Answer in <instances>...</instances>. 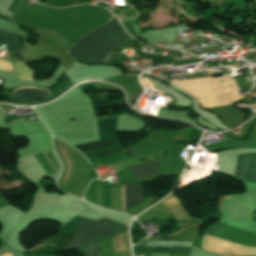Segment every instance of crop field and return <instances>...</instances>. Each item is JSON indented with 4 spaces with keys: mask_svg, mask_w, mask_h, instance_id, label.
Returning a JSON list of instances; mask_svg holds the SVG:
<instances>
[{
    "mask_svg": "<svg viewBox=\"0 0 256 256\" xmlns=\"http://www.w3.org/2000/svg\"><path fill=\"white\" fill-rule=\"evenodd\" d=\"M127 38L118 22L113 19L83 36L67 54L73 58L89 62H101Z\"/></svg>",
    "mask_w": 256,
    "mask_h": 256,
    "instance_id": "obj_1",
    "label": "crop field"
},
{
    "mask_svg": "<svg viewBox=\"0 0 256 256\" xmlns=\"http://www.w3.org/2000/svg\"><path fill=\"white\" fill-rule=\"evenodd\" d=\"M115 125H116V118L98 119L100 140L114 138ZM114 144H115L114 141L110 139V140H103V141L76 145L75 147L80 151H84V150H89V149H94V148H99V147H104V146H109ZM119 151L120 150L118 149V147L114 145V146L84 151V153L87 155L90 161H92L101 157H105V156L117 153Z\"/></svg>",
    "mask_w": 256,
    "mask_h": 256,
    "instance_id": "obj_2",
    "label": "crop field"
},
{
    "mask_svg": "<svg viewBox=\"0 0 256 256\" xmlns=\"http://www.w3.org/2000/svg\"><path fill=\"white\" fill-rule=\"evenodd\" d=\"M80 219H81L80 217L75 216L70 221H68L66 224L61 226L58 234L55 237L50 238L48 240L53 242L58 247L65 249L66 246L68 245ZM92 222L93 221H91V220H87V219H83V218L81 219L66 250L76 249L79 246L83 245V243L85 242V240L89 234Z\"/></svg>",
    "mask_w": 256,
    "mask_h": 256,
    "instance_id": "obj_3",
    "label": "crop field"
},
{
    "mask_svg": "<svg viewBox=\"0 0 256 256\" xmlns=\"http://www.w3.org/2000/svg\"><path fill=\"white\" fill-rule=\"evenodd\" d=\"M128 227L117 223L115 221L109 220L107 218L98 220L94 223L93 230L86 242V245L94 242L99 241L110 236L122 233L126 231ZM85 245V246H86Z\"/></svg>",
    "mask_w": 256,
    "mask_h": 256,
    "instance_id": "obj_4",
    "label": "crop field"
},
{
    "mask_svg": "<svg viewBox=\"0 0 256 256\" xmlns=\"http://www.w3.org/2000/svg\"><path fill=\"white\" fill-rule=\"evenodd\" d=\"M235 166L236 177L254 182L256 173V153L236 155Z\"/></svg>",
    "mask_w": 256,
    "mask_h": 256,
    "instance_id": "obj_5",
    "label": "crop field"
},
{
    "mask_svg": "<svg viewBox=\"0 0 256 256\" xmlns=\"http://www.w3.org/2000/svg\"><path fill=\"white\" fill-rule=\"evenodd\" d=\"M146 246H190V243L147 242ZM189 247H136V253H187Z\"/></svg>",
    "mask_w": 256,
    "mask_h": 256,
    "instance_id": "obj_6",
    "label": "crop field"
},
{
    "mask_svg": "<svg viewBox=\"0 0 256 256\" xmlns=\"http://www.w3.org/2000/svg\"><path fill=\"white\" fill-rule=\"evenodd\" d=\"M0 44H7L8 49H13L18 60L29 59L23 43V37L0 30Z\"/></svg>",
    "mask_w": 256,
    "mask_h": 256,
    "instance_id": "obj_7",
    "label": "crop field"
},
{
    "mask_svg": "<svg viewBox=\"0 0 256 256\" xmlns=\"http://www.w3.org/2000/svg\"><path fill=\"white\" fill-rule=\"evenodd\" d=\"M145 201L140 183L125 184V211ZM123 211H124V185H123Z\"/></svg>",
    "mask_w": 256,
    "mask_h": 256,
    "instance_id": "obj_8",
    "label": "crop field"
},
{
    "mask_svg": "<svg viewBox=\"0 0 256 256\" xmlns=\"http://www.w3.org/2000/svg\"><path fill=\"white\" fill-rule=\"evenodd\" d=\"M50 96V90L38 89L33 87H20L15 89L10 98H41L47 99Z\"/></svg>",
    "mask_w": 256,
    "mask_h": 256,
    "instance_id": "obj_9",
    "label": "crop field"
},
{
    "mask_svg": "<svg viewBox=\"0 0 256 256\" xmlns=\"http://www.w3.org/2000/svg\"><path fill=\"white\" fill-rule=\"evenodd\" d=\"M159 160L130 167L136 180L157 175Z\"/></svg>",
    "mask_w": 256,
    "mask_h": 256,
    "instance_id": "obj_10",
    "label": "crop field"
},
{
    "mask_svg": "<svg viewBox=\"0 0 256 256\" xmlns=\"http://www.w3.org/2000/svg\"><path fill=\"white\" fill-rule=\"evenodd\" d=\"M87 248L90 256H101L98 243L90 245Z\"/></svg>",
    "mask_w": 256,
    "mask_h": 256,
    "instance_id": "obj_11",
    "label": "crop field"
},
{
    "mask_svg": "<svg viewBox=\"0 0 256 256\" xmlns=\"http://www.w3.org/2000/svg\"><path fill=\"white\" fill-rule=\"evenodd\" d=\"M72 1H73V3H76V2H80L82 0H72Z\"/></svg>",
    "mask_w": 256,
    "mask_h": 256,
    "instance_id": "obj_12",
    "label": "crop field"
}]
</instances>
